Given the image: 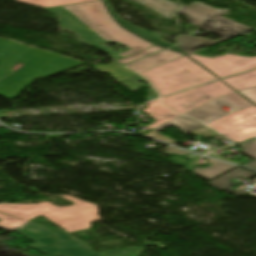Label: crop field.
Returning <instances> with one entry per match:
<instances>
[{"mask_svg": "<svg viewBox=\"0 0 256 256\" xmlns=\"http://www.w3.org/2000/svg\"><path fill=\"white\" fill-rule=\"evenodd\" d=\"M43 10L57 13L62 18L59 20L62 28L76 33L85 43L96 46L115 60L154 46L119 27L105 10L101 0ZM102 43H116L126 50L114 52L99 45Z\"/></svg>", "mask_w": 256, "mask_h": 256, "instance_id": "crop-field-1", "label": "crop field"}, {"mask_svg": "<svg viewBox=\"0 0 256 256\" xmlns=\"http://www.w3.org/2000/svg\"><path fill=\"white\" fill-rule=\"evenodd\" d=\"M74 206L59 208L44 202L38 205L0 204V227L12 231L28 220L42 214L68 233L91 228L89 222L101 221L96 205L68 196Z\"/></svg>", "mask_w": 256, "mask_h": 256, "instance_id": "crop-field-2", "label": "crop field"}, {"mask_svg": "<svg viewBox=\"0 0 256 256\" xmlns=\"http://www.w3.org/2000/svg\"><path fill=\"white\" fill-rule=\"evenodd\" d=\"M15 232L33 240L36 238L51 236L52 231L32 221L28 222ZM60 256H86L94 254L89 246L64 230L55 232ZM27 247L34 248L47 256H57L53 237L34 241Z\"/></svg>", "mask_w": 256, "mask_h": 256, "instance_id": "crop-field-3", "label": "crop field"}, {"mask_svg": "<svg viewBox=\"0 0 256 256\" xmlns=\"http://www.w3.org/2000/svg\"><path fill=\"white\" fill-rule=\"evenodd\" d=\"M227 11L211 8L197 2L181 8L178 13L184 14L190 23L209 30L225 39L251 30L247 26L221 17Z\"/></svg>", "mask_w": 256, "mask_h": 256, "instance_id": "crop-field-4", "label": "crop field"}, {"mask_svg": "<svg viewBox=\"0 0 256 256\" xmlns=\"http://www.w3.org/2000/svg\"><path fill=\"white\" fill-rule=\"evenodd\" d=\"M208 126L236 142L251 138L256 136V107L234 112Z\"/></svg>", "mask_w": 256, "mask_h": 256, "instance_id": "crop-field-5", "label": "crop field"}, {"mask_svg": "<svg viewBox=\"0 0 256 256\" xmlns=\"http://www.w3.org/2000/svg\"><path fill=\"white\" fill-rule=\"evenodd\" d=\"M140 74L154 85L161 97L195 87L182 72L165 65Z\"/></svg>", "mask_w": 256, "mask_h": 256, "instance_id": "crop-field-6", "label": "crop field"}, {"mask_svg": "<svg viewBox=\"0 0 256 256\" xmlns=\"http://www.w3.org/2000/svg\"><path fill=\"white\" fill-rule=\"evenodd\" d=\"M187 56L197 60L220 78L256 67V57L248 58L237 55H224L210 59L191 54Z\"/></svg>", "mask_w": 256, "mask_h": 256, "instance_id": "crop-field-7", "label": "crop field"}, {"mask_svg": "<svg viewBox=\"0 0 256 256\" xmlns=\"http://www.w3.org/2000/svg\"><path fill=\"white\" fill-rule=\"evenodd\" d=\"M218 100L235 111L253 106L238 94L234 93L223 98L207 102L183 115L196 118L203 123L209 122L227 113L221 108L222 106L216 103Z\"/></svg>", "mask_w": 256, "mask_h": 256, "instance_id": "crop-field-8", "label": "crop field"}, {"mask_svg": "<svg viewBox=\"0 0 256 256\" xmlns=\"http://www.w3.org/2000/svg\"><path fill=\"white\" fill-rule=\"evenodd\" d=\"M207 101L208 100L197 88L162 99V102L165 106L180 114H183ZM185 102H188L189 105L183 104Z\"/></svg>", "mask_w": 256, "mask_h": 256, "instance_id": "crop-field-9", "label": "crop field"}, {"mask_svg": "<svg viewBox=\"0 0 256 256\" xmlns=\"http://www.w3.org/2000/svg\"><path fill=\"white\" fill-rule=\"evenodd\" d=\"M165 65L181 70L196 86L217 79L197 63L182 57Z\"/></svg>", "mask_w": 256, "mask_h": 256, "instance_id": "crop-field-10", "label": "crop field"}, {"mask_svg": "<svg viewBox=\"0 0 256 256\" xmlns=\"http://www.w3.org/2000/svg\"><path fill=\"white\" fill-rule=\"evenodd\" d=\"M172 125H174L178 129L182 130L184 132V134H186L188 132H191V131L203 126L202 123H200L199 121L189 119V118H185L183 116H179V117H177L173 120H170V121L154 128L153 132L148 133L144 136L154 138V139H158V140H162V141H165L167 143L173 144V143H175V141H173L171 139H168V138H165L162 135L156 133V132H158L160 130H163L167 127H170Z\"/></svg>", "mask_w": 256, "mask_h": 256, "instance_id": "crop-field-11", "label": "crop field"}, {"mask_svg": "<svg viewBox=\"0 0 256 256\" xmlns=\"http://www.w3.org/2000/svg\"><path fill=\"white\" fill-rule=\"evenodd\" d=\"M184 56L183 54L174 53L172 51L166 50L160 53L153 54L137 63L128 65L127 68L140 73L145 70L157 67L159 65L165 64L177 58Z\"/></svg>", "mask_w": 256, "mask_h": 256, "instance_id": "crop-field-12", "label": "crop field"}, {"mask_svg": "<svg viewBox=\"0 0 256 256\" xmlns=\"http://www.w3.org/2000/svg\"><path fill=\"white\" fill-rule=\"evenodd\" d=\"M106 6L108 7V9L110 10L112 16L117 20V22H119L124 28L136 33L137 35L141 36L142 38H144L145 40L149 41V42H152V43H156L162 47H170L172 46V44L170 43H167L163 40H161V38L163 36H161L160 34L158 33H149L139 27H136V26H132L126 22H124L120 17H118L117 15H115L111 5L108 3L107 0H104Z\"/></svg>", "mask_w": 256, "mask_h": 256, "instance_id": "crop-field-13", "label": "crop field"}, {"mask_svg": "<svg viewBox=\"0 0 256 256\" xmlns=\"http://www.w3.org/2000/svg\"><path fill=\"white\" fill-rule=\"evenodd\" d=\"M147 114L154 117L157 123L147 126L148 128H154L170 119H173L179 115L172 113L168 108L164 107L159 100L150 102L148 108L143 110Z\"/></svg>", "mask_w": 256, "mask_h": 256, "instance_id": "crop-field-14", "label": "crop field"}, {"mask_svg": "<svg viewBox=\"0 0 256 256\" xmlns=\"http://www.w3.org/2000/svg\"><path fill=\"white\" fill-rule=\"evenodd\" d=\"M134 1L163 15L168 20L172 19L174 17L176 9L180 8L179 6L167 0H143L142 2L140 0H134Z\"/></svg>", "mask_w": 256, "mask_h": 256, "instance_id": "crop-field-15", "label": "crop field"}, {"mask_svg": "<svg viewBox=\"0 0 256 256\" xmlns=\"http://www.w3.org/2000/svg\"><path fill=\"white\" fill-rule=\"evenodd\" d=\"M176 39L180 41V44L177 45V47L180 48L185 53V55L188 54L191 49L209 46L214 43L225 40L221 38L219 40L212 41L202 37H193V36H186V35L178 36L176 37Z\"/></svg>", "mask_w": 256, "mask_h": 256, "instance_id": "crop-field-16", "label": "crop field"}, {"mask_svg": "<svg viewBox=\"0 0 256 256\" xmlns=\"http://www.w3.org/2000/svg\"><path fill=\"white\" fill-rule=\"evenodd\" d=\"M205 160L209 161L212 165L204 170L195 171L194 173L209 181L221 176L222 174L236 167V166L221 163L215 160H211L208 158H206Z\"/></svg>", "mask_w": 256, "mask_h": 256, "instance_id": "crop-field-17", "label": "crop field"}, {"mask_svg": "<svg viewBox=\"0 0 256 256\" xmlns=\"http://www.w3.org/2000/svg\"><path fill=\"white\" fill-rule=\"evenodd\" d=\"M198 89L204 94V96L209 100H214L222 96L234 93L235 91L227 87L223 82H215L209 85L198 87Z\"/></svg>", "mask_w": 256, "mask_h": 256, "instance_id": "crop-field-18", "label": "crop field"}, {"mask_svg": "<svg viewBox=\"0 0 256 256\" xmlns=\"http://www.w3.org/2000/svg\"><path fill=\"white\" fill-rule=\"evenodd\" d=\"M224 81L237 91L256 86V70Z\"/></svg>", "mask_w": 256, "mask_h": 256, "instance_id": "crop-field-19", "label": "crop field"}, {"mask_svg": "<svg viewBox=\"0 0 256 256\" xmlns=\"http://www.w3.org/2000/svg\"><path fill=\"white\" fill-rule=\"evenodd\" d=\"M255 175L256 174L251 172V171L238 168V169H236V170H234V171H232V172H230V173H228V174L218 178V179H220V181L218 179H216V180H214V181H212V182H210L208 184H210V185H212V186L222 190L225 187L234 184L233 182L229 181L232 178L242 176V177H244L246 179H249V178H251V177H253Z\"/></svg>", "mask_w": 256, "mask_h": 256, "instance_id": "crop-field-20", "label": "crop field"}, {"mask_svg": "<svg viewBox=\"0 0 256 256\" xmlns=\"http://www.w3.org/2000/svg\"><path fill=\"white\" fill-rule=\"evenodd\" d=\"M156 245L161 249H164L165 246H162L161 243H146L144 247H126L119 248L107 252L98 253L99 256H140L144 252L145 246Z\"/></svg>", "mask_w": 256, "mask_h": 256, "instance_id": "crop-field-21", "label": "crop field"}, {"mask_svg": "<svg viewBox=\"0 0 256 256\" xmlns=\"http://www.w3.org/2000/svg\"><path fill=\"white\" fill-rule=\"evenodd\" d=\"M94 68H95V70L102 72V73H106V72L111 73L112 74L111 77L118 81L135 75L134 73L126 70L125 68H123L122 66L117 64L116 62H113L107 66H94Z\"/></svg>", "mask_w": 256, "mask_h": 256, "instance_id": "crop-field-22", "label": "crop field"}, {"mask_svg": "<svg viewBox=\"0 0 256 256\" xmlns=\"http://www.w3.org/2000/svg\"><path fill=\"white\" fill-rule=\"evenodd\" d=\"M13 1L32 5V6L38 5L42 7H52V6L75 4V3L87 2V1H93V0H13Z\"/></svg>", "mask_w": 256, "mask_h": 256, "instance_id": "crop-field-23", "label": "crop field"}, {"mask_svg": "<svg viewBox=\"0 0 256 256\" xmlns=\"http://www.w3.org/2000/svg\"><path fill=\"white\" fill-rule=\"evenodd\" d=\"M161 49H163V48H159L157 46L150 47V48H147V49H145V50H143V51H141V52H139V53H137L135 55H132L130 57H127V58L121 59V60H117V61L124 65L125 63L134 62L137 59H140V58H142V57H144L146 55H149V54L154 53V52H156L158 50H161Z\"/></svg>", "mask_w": 256, "mask_h": 256, "instance_id": "crop-field-24", "label": "crop field"}, {"mask_svg": "<svg viewBox=\"0 0 256 256\" xmlns=\"http://www.w3.org/2000/svg\"><path fill=\"white\" fill-rule=\"evenodd\" d=\"M140 80L144 81V79H142L140 76L135 75L133 77L122 80L120 82L126 87H128L130 90L134 91L143 85L142 83L139 82Z\"/></svg>", "mask_w": 256, "mask_h": 256, "instance_id": "crop-field-25", "label": "crop field"}, {"mask_svg": "<svg viewBox=\"0 0 256 256\" xmlns=\"http://www.w3.org/2000/svg\"><path fill=\"white\" fill-rule=\"evenodd\" d=\"M243 147H245V149L242 151L243 153L256 159V141L243 145Z\"/></svg>", "mask_w": 256, "mask_h": 256, "instance_id": "crop-field-26", "label": "crop field"}, {"mask_svg": "<svg viewBox=\"0 0 256 256\" xmlns=\"http://www.w3.org/2000/svg\"><path fill=\"white\" fill-rule=\"evenodd\" d=\"M243 95H245L247 98L252 100L254 103H256V87L246 89L243 91H240Z\"/></svg>", "mask_w": 256, "mask_h": 256, "instance_id": "crop-field-27", "label": "crop field"}, {"mask_svg": "<svg viewBox=\"0 0 256 256\" xmlns=\"http://www.w3.org/2000/svg\"><path fill=\"white\" fill-rule=\"evenodd\" d=\"M169 160L175 161V162H177L178 164H180V165H182V166H184L185 163L188 164L187 166H189V165L192 164L191 162H187V161H185V160H183V159H181V158H179V157H172V158H170ZM187 166H185V167H187Z\"/></svg>", "mask_w": 256, "mask_h": 256, "instance_id": "crop-field-28", "label": "crop field"}, {"mask_svg": "<svg viewBox=\"0 0 256 256\" xmlns=\"http://www.w3.org/2000/svg\"><path fill=\"white\" fill-rule=\"evenodd\" d=\"M226 189L228 190L226 193L231 194L233 196L248 193V192L241 191V190L234 191V190L230 189V187H228Z\"/></svg>", "mask_w": 256, "mask_h": 256, "instance_id": "crop-field-29", "label": "crop field"}, {"mask_svg": "<svg viewBox=\"0 0 256 256\" xmlns=\"http://www.w3.org/2000/svg\"><path fill=\"white\" fill-rule=\"evenodd\" d=\"M163 149H166V150H168V151H171V152H174V153H177V154H180V155L187 154V153H185V152H182V151H179V150L170 148V147L163 148Z\"/></svg>", "mask_w": 256, "mask_h": 256, "instance_id": "crop-field-30", "label": "crop field"}, {"mask_svg": "<svg viewBox=\"0 0 256 256\" xmlns=\"http://www.w3.org/2000/svg\"><path fill=\"white\" fill-rule=\"evenodd\" d=\"M243 166H246V167H249V168H252V169H256V160H253Z\"/></svg>", "mask_w": 256, "mask_h": 256, "instance_id": "crop-field-31", "label": "crop field"}, {"mask_svg": "<svg viewBox=\"0 0 256 256\" xmlns=\"http://www.w3.org/2000/svg\"><path fill=\"white\" fill-rule=\"evenodd\" d=\"M149 90L151 91L152 96L148 97V99L152 100V99H154V98H158V97H157V94L153 91L152 88H150Z\"/></svg>", "mask_w": 256, "mask_h": 256, "instance_id": "crop-field-32", "label": "crop field"}, {"mask_svg": "<svg viewBox=\"0 0 256 256\" xmlns=\"http://www.w3.org/2000/svg\"><path fill=\"white\" fill-rule=\"evenodd\" d=\"M170 49H172V50H174V51H177V52H181V53H183L181 50H179L176 46H174V47H172V48H170Z\"/></svg>", "mask_w": 256, "mask_h": 256, "instance_id": "crop-field-33", "label": "crop field"}, {"mask_svg": "<svg viewBox=\"0 0 256 256\" xmlns=\"http://www.w3.org/2000/svg\"><path fill=\"white\" fill-rule=\"evenodd\" d=\"M252 139H255V137H254V138H251V139H248V140H246V141H249V140H252ZM246 141H243V142H246ZM243 142H240V143H243ZM240 143H237L236 145H238V144H240Z\"/></svg>", "mask_w": 256, "mask_h": 256, "instance_id": "crop-field-34", "label": "crop field"}, {"mask_svg": "<svg viewBox=\"0 0 256 256\" xmlns=\"http://www.w3.org/2000/svg\"><path fill=\"white\" fill-rule=\"evenodd\" d=\"M24 61H25V59H23V61H22L21 64L19 65V67L23 64Z\"/></svg>", "mask_w": 256, "mask_h": 256, "instance_id": "crop-field-35", "label": "crop field"}, {"mask_svg": "<svg viewBox=\"0 0 256 256\" xmlns=\"http://www.w3.org/2000/svg\"><path fill=\"white\" fill-rule=\"evenodd\" d=\"M253 182L252 183H255L256 182V179L252 180Z\"/></svg>", "mask_w": 256, "mask_h": 256, "instance_id": "crop-field-36", "label": "crop field"}]
</instances>
